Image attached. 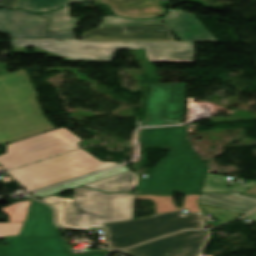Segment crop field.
<instances>
[{
  "label": "crop field",
  "mask_w": 256,
  "mask_h": 256,
  "mask_svg": "<svg viewBox=\"0 0 256 256\" xmlns=\"http://www.w3.org/2000/svg\"><path fill=\"white\" fill-rule=\"evenodd\" d=\"M188 126L144 129V147L170 149L169 156L160 160L141 178L136 194H184L200 192L208 167L186 140Z\"/></svg>",
  "instance_id": "8a807250"
},
{
  "label": "crop field",
  "mask_w": 256,
  "mask_h": 256,
  "mask_svg": "<svg viewBox=\"0 0 256 256\" xmlns=\"http://www.w3.org/2000/svg\"><path fill=\"white\" fill-rule=\"evenodd\" d=\"M15 52L64 57L66 62H110L117 49L144 48L149 62L194 63L193 43L11 40Z\"/></svg>",
  "instance_id": "ac0d7876"
},
{
  "label": "crop field",
  "mask_w": 256,
  "mask_h": 256,
  "mask_svg": "<svg viewBox=\"0 0 256 256\" xmlns=\"http://www.w3.org/2000/svg\"><path fill=\"white\" fill-rule=\"evenodd\" d=\"M36 96L25 71L0 76V145L55 128Z\"/></svg>",
  "instance_id": "34b2d1b8"
},
{
  "label": "crop field",
  "mask_w": 256,
  "mask_h": 256,
  "mask_svg": "<svg viewBox=\"0 0 256 256\" xmlns=\"http://www.w3.org/2000/svg\"><path fill=\"white\" fill-rule=\"evenodd\" d=\"M56 208V222L62 228L89 231L103 222L129 219L132 195H106L87 188L74 189V199L51 196L41 199Z\"/></svg>",
  "instance_id": "412701ff"
},
{
  "label": "crop field",
  "mask_w": 256,
  "mask_h": 256,
  "mask_svg": "<svg viewBox=\"0 0 256 256\" xmlns=\"http://www.w3.org/2000/svg\"><path fill=\"white\" fill-rule=\"evenodd\" d=\"M127 164L100 162L80 149L9 172L28 192H36Z\"/></svg>",
  "instance_id": "f4fd0767"
},
{
  "label": "crop field",
  "mask_w": 256,
  "mask_h": 256,
  "mask_svg": "<svg viewBox=\"0 0 256 256\" xmlns=\"http://www.w3.org/2000/svg\"><path fill=\"white\" fill-rule=\"evenodd\" d=\"M5 238L9 246H0V256H105V251L70 254L53 225L52 209L33 199L20 235Z\"/></svg>",
  "instance_id": "dd49c442"
},
{
  "label": "crop field",
  "mask_w": 256,
  "mask_h": 256,
  "mask_svg": "<svg viewBox=\"0 0 256 256\" xmlns=\"http://www.w3.org/2000/svg\"><path fill=\"white\" fill-rule=\"evenodd\" d=\"M202 212L184 216L181 210L166 212L134 221L105 225L107 248L124 249L181 229L202 228Z\"/></svg>",
  "instance_id": "e52e79f7"
},
{
  "label": "crop field",
  "mask_w": 256,
  "mask_h": 256,
  "mask_svg": "<svg viewBox=\"0 0 256 256\" xmlns=\"http://www.w3.org/2000/svg\"><path fill=\"white\" fill-rule=\"evenodd\" d=\"M81 141L68 130L61 128L7 146L0 156V165L12 169L65 151L78 148Z\"/></svg>",
  "instance_id": "d8731c3e"
},
{
  "label": "crop field",
  "mask_w": 256,
  "mask_h": 256,
  "mask_svg": "<svg viewBox=\"0 0 256 256\" xmlns=\"http://www.w3.org/2000/svg\"><path fill=\"white\" fill-rule=\"evenodd\" d=\"M145 126L182 123L185 83L152 84Z\"/></svg>",
  "instance_id": "5a996713"
},
{
  "label": "crop field",
  "mask_w": 256,
  "mask_h": 256,
  "mask_svg": "<svg viewBox=\"0 0 256 256\" xmlns=\"http://www.w3.org/2000/svg\"><path fill=\"white\" fill-rule=\"evenodd\" d=\"M49 19L23 10H0V31L12 38L72 39V31L46 32Z\"/></svg>",
  "instance_id": "3316defc"
},
{
  "label": "crop field",
  "mask_w": 256,
  "mask_h": 256,
  "mask_svg": "<svg viewBox=\"0 0 256 256\" xmlns=\"http://www.w3.org/2000/svg\"><path fill=\"white\" fill-rule=\"evenodd\" d=\"M207 232L184 231L125 251L129 256H198Z\"/></svg>",
  "instance_id": "28ad6ade"
},
{
  "label": "crop field",
  "mask_w": 256,
  "mask_h": 256,
  "mask_svg": "<svg viewBox=\"0 0 256 256\" xmlns=\"http://www.w3.org/2000/svg\"><path fill=\"white\" fill-rule=\"evenodd\" d=\"M169 30L165 23L94 29L89 33H84L83 40L176 41L171 37ZM126 31H129L131 34L127 35Z\"/></svg>",
  "instance_id": "d1516ede"
},
{
  "label": "crop field",
  "mask_w": 256,
  "mask_h": 256,
  "mask_svg": "<svg viewBox=\"0 0 256 256\" xmlns=\"http://www.w3.org/2000/svg\"><path fill=\"white\" fill-rule=\"evenodd\" d=\"M168 27L181 41H216L210 32L191 14L178 10L164 17Z\"/></svg>",
  "instance_id": "22f410ed"
},
{
  "label": "crop field",
  "mask_w": 256,
  "mask_h": 256,
  "mask_svg": "<svg viewBox=\"0 0 256 256\" xmlns=\"http://www.w3.org/2000/svg\"><path fill=\"white\" fill-rule=\"evenodd\" d=\"M108 4L110 8L119 16L132 18L157 17L164 13L159 0H101Z\"/></svg>",
  "instance_id": "cbeb9de0"
},
{
  "label": "crop field",
  "mask_w": 256,
  "mask_h": 256,
  "mask_svg": "<svg viewBox=\"0 0 256 256\" xmlns=\"http://www.w3.org/2000/svg\"><path fill=\"white\" fill-rule=\"evenodd\" d=\"M199 202L243 215L256 208V201L230 194H201Z\"/></svg>",
  "instance_id": "5142ce71"
},
{
  "label": "crop field",
  "mask_w": 256,
  "mask_h": 256,
  "mask_svg": "<svg viewBox=\"0 0 256 256\" xmlns=\"http://www.w3.org/2000/svg\"><path fill=\"white\" fill-rule=\"evenodd\" d=\"M138 177L139 175L128 171L93 183L86 184V186L107 193L119 191L130 192L135 187Z\"/></svg>",
  "instance_id": "d9b57169"
},
{
  "label": "crop field",
  "mask_w": 256,
  "mask_h": 256,
  "mask_svg": "<svg viewBox=\"0 0 256 256\" xmlns=\"http://www.w3.org/2000/svg\"><path fill=\"white\" fill-rule=\"evenodd\" d=\"M199 195L200 194L185 195L183 208H186L190 213L200 211L201 209L198 205ZM135 199H152V201L155 203L156 214L166 211L177 210L175 209V204L173 203L172 195L166 197L141 195L135 196Z\"/></svg>",
  "instance_id": "733c2abd"
},
{
  "label": "crop field",
  "mask_w": 256,
  "mask_h": 256,
  "mask_svg": "<svg viewBox=\"0 0 256 256\" xmlns=\"http://www.w3.org/2000/svg\"><path fill=\"white\" fill-rule=\"evenodd\" d=\"M125 171H128V169L125 168L124 166H122V167H119V168H115V169H112V170H109V171H105V172H102V173H99V174H96V175L86 177V178H83V179H79V180H76V181H73V182H69V183H66V184H63V185H60V186H57V187H54V188L36 193V194H33V195H30V196L42 197V196H46V195L57 194L61 191L68 190V189H71V188H74V187H77V186H80V185H83V184H86V183H89V182H93V181H96V180H99V179H102V178H105V177H108V176H112V175H115V174H118V173H121V172H125Z\"/></svg>",
  "instance_id": "4a817a6b"
},
{
  "label": "crop field",
  "mask_w": 256,
  "mask_h": 256,
  "mask_svg": "<svg viewBox=\"0 0 256 256\" xmlns=\"http://www.w3.org/2000/svg\"><path fill=\"white\" fill-rule=\"evenodd\" d=\"M89 0H19L15 6L31 12H46L55 10L70 2H87Z\"/></svg>",
  "instance_id": "bc2a9ffb"
},
{
  "label": "crop field",
  "mask_w": 256,
  "mask_h": 256,
  "mask_svg": "<svg viewBox=\"0 0 256 256\" xmlns=\"http://www.w3.org/2000/svg\"><path fill=\"white\" fill-rule=\"evenodd\" d=\"M50 18L47 31L73 30L75 28L76 19L70 18L69 8L59 11L42 14Z\"/></svg>",
  "instance_id": "214f88e0"
},
{
  "label": "crop field",
  "mask_w": 256,
  "mask_h": 256,
  "mask_svg": "<svg viewBox=\"0 0 256 256\" xmlns=\"http://www.w3.org/2000/svg\"><path fill=\"white\" fill-rule=\"evenodd\" d=\"M225 186L226 176L207 174L201 193L229 192L241 185L236 184L228 189H225Z\"/></svg>",
  "instance_id": "92a150f3"
},
{
  "label": "crop field",
  "mask_w": 256,
  "mask_h": 256,
  "mask_svg": "<svg viewBox=\"0 0 256 256\" xmlns=\"http://www.w3.org/2000/svg\"><path fill=\"white\" fill-rule=\"evenodd\" d=\"M102 20H103V22L100 25H98L97 28L161 23L162 18H160V19L131 20V19L114 17V16H105V17L102 18Z\"/></svg>",
  "instance_id": "dafd665d"
},
{
  "label": "crop field",
  "mask_w": 256,
  "mask_h": 256,
  "mask_svg": "<svg viewBox=\"0 0 256 256\" xmlns=\"http://www.w3.org/2000/svg\"><path fill=\"white\" fill-rule=\"evenodd\" d=\"M28 202H18L6 208H1V211L9 216L8 222H23L27 212Z\"/></svg>",
  "instance_id": "00972430"
},
{
  "label": "crop field",
  "mask_w": 256,
  "mask_h": 256,
  "mask_svg": "<svg viewBox=\"0 0 256 256\" xmlns=\"http://www.w3.org/2000/svg\"><path fill=\"white\" fill-rule=\"evenodd\" d=\"M23 223H0V237L18 235Z\"/></svg>",
  "instance_id": "a9b5d70f"
},
{
  "label": "crop field",
  "mask_w": 256,
  "mask_h": 256,
  "mask_svg": "<svg viewBox=\"0 0 256 256\" xmlns=\"http://www.w3.org/2000/svg\"><path fill=\"white\" fill-rule=\"evenodd\" d=\"M17 2V0H5L1 6H4L5 8H17L14 6V4Z\"/></svg>",
  "instance_id": "4177f3b9"
},
{
  "label": "crop field",
  "mask_w": 256,
  "mask_h": 256,
  "mask_svg": "<svg viewBox=\"0 0 256 256\" xmlns=\"http://www.w3.org/2000/svg\"><path fill=\"white\" fill-rule=\"evenodd\" d=\"M255 185H256V181H253V182H251V183H249L247 185H244V186H242V187H240V188H238V189H236L234 191L239 192V193H243V192L246 191L247 188L253 187Z\"/></svg>",
  "instance_id": "730fd06b"
},
{
  "label": "crop field",
  "mask_w": 256,
  "mask_h": 256,
  "mask_svg": "<svg viewBox=\"0 0 256 256\" xmlns=\"http://www.w3.org/2000/svg\"><path fill=\"white\" fill-rule=\"evenodd\" d=\"M7 73L6 64L0 63V75Z\"/></svg>",
  "instance_id": "eef30255"
},
{
  "label": "crop field",
  "mask_w": 256,
  "mask_h": 256,
  "mask_svg": "<svg viewBox=\"0 0 256 256\" xmlns=\"http://www.w3.org/2000/svg\"><path fill=\"white\" fill-rule=\"evenodd\" d=\"M245 218H248V219H252V220H256V212L246 216Z\"/></svg>",
  "instance_id": "ae1a2a85"
},
{
  "label": "crop field",
  "mask_w": 256,
  "mask_h": 256,
  "mask_svg": "<svg viewBox=\"0 0 256 256\" xmlns=\"http://www.w3.org/2000/svg\"><path fill=\"white\" fill-rule=\"evenodd\" d=\"M245 193H252V194H255L256 195V186L249 189L248 191H246Z\"/></svg>",
  "instance_id": "d3111659"
},
{
  "label": "crop field",
  "mask_w": 256,
  "mask_h": 256,
  "mask_svg": "<svg viewBox=\"0 0 256 256\" xmlns=\"http://www.w3.org/2000/svg\"><path fill=\"white\" fill-rule=\"evenodd\" d=\"M240 196L256 200V196H254V195H240Z\"/></svg>",
  "instance_id": "750c4746"
}]
</instances>
